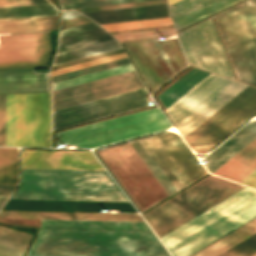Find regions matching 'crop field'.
Wrapping results in <instances>:
<instances>
[{
	"instance_id": "8a807250",
	"label": "crop field",
	"mask_w": 256,
	"mask_h": 256,
	"mask_svg": "<svg viewBox=\"0 0 256 256\" xmlns=\"http://www.w3.org/2000/svg\"><path fill=\"white\" fill-rule=\"evenodd\" d=\"M26 256H169L152 233L40 230Z\"/></svg>"
},
{
	"instance_id": "3316defc",
	"label": "crop field",
	"mask_w": 256,
	"mask_h": 256,
	"mask_svg": "<svg viewBox=\"0 0 256 256\" xmlns=\"http://www.w3.org/2000/svg\"><path fill=\"white\" fill-rule=\"evenodd\" d=\"M152 93L186 66L174 40L124 43Z\"/></svg>"
},
{
	"instance_id": "d1516ede",
	"label": "crop field",
	"mask_w": 256,
	"mask_h": 256,
	"mask_svg": "<svg viewBox=\"0 0 256 256\" xmlns=\"http://www.w3.org/2000/svg\"><path fill=\"white\" fill-rule=\"evenodd\" d=\"M143 89L52 112V130L151 106Z\"/></svg>"
},
{
	"instance_id": "34b2d1b8",
	"label": "crop field",
	"mask_w": 256,
	"mask_h": 256,
	"mask_svg": "<svg viewBox=\"0 0 256 256\" xmlns=\"http://www.w3.org/2000/svg\"><path fill=\"white\" fill-rule=\"evenodd\" d=\"M256 216V191L244 189L160 239L172 256H189Z\"/></svg>"
},
{
	"instance_id": "cbeb9de0",
	"label": "crop field",
	"mask_w": 256,
	"mask_h": 256,
	"mask_svg": "<svg viewBox=\"0 0 256 256\" xmlns=\"http://www.w3.org/2000/svg\"><path fill=\"white\" fill-rule=\"evenodd\" d=\"M143 88L135 71L53 92L52 111Z\"/></svg>"
},
{
	"instance_id": "03da06ac",
	"label": "crop field",
	"mask_w": 256,
	"mask_h": 256,
	"mask_svg": "<svg viewBox=\"0 0 256 256\" xmlns=\"http://www.w3.org/2000/svg\"><path fill=\"white\" fill-rule=\"evenodd\" d=\"M48 3L47 1H41V2H30V3H20V4H9V5H0V7L4 6H18V5H31V4H44Z\"/></svg>"
},
{
	"instance_id": "b80d0937",
	"label": "crop field",
	"mask_w": 256,
	"mask_h": 256,
	"mask_svg": "<svg viewBox=\"0 0 256 256\" xmlns=\"http://www.w3.org/2000/svg\"><path fill=\"white\" fill-rule=\"evenodd\" d=\"M240 183L256 188V171H254Z\"/></svg>"
},
{
	"instance_id": "730fd06b",
	"label": "crop field",
	"mask_w": 256,
	"mask_h": 256,
	"mask_svg": "<svg viewBox=\"0 0 256 256\" xmlns=\"http://www.w3.org/2000/svg\"><path fill=\"white\" fill-rule=\"evenodd\" d=\"M0 183L17 185V148H0Z\"/></svg>"
},
{
	"instance_id": "bd1437ed",
	"label": "crop field",
	"mask_w": 256,
	"mask_h": 256,
	"mask_svg": "<svg viewBox=\"0 0 256 256\" xmlns=\"http://www.w3.org/2000/svg\"><path fill=\"white\" fill-rule=\"evenodd\" d=\"M168 24H172L170 18L105 24L101 26L104 27L107 31H112V30L131 29V28H140V27H149V26L168 25Z\"/></svg>"
},
{
	"instance_id": "0bd39190",
	"label": "crop field",
	"mask_w": 256,
	"mask_h": 256,
	"mask_svg": "<svg viewBox=\"0 0 256 256\" xmlns=\"http://www.w3.org/2000/svg\"><path fill=\"white\" fill-rule=\"evenodd\" d=\"M88 22H92V21L89 20L88 18L84 17V16L74 18V19H70V20H66V21H62L61 26H60V30L65 29V28H69V27H73V26H77V25H80V24L88 23Z\"/></svg>"
},
{
	"instance_id": "5142ce71",
	"label": "crop field",
	"mask_w": 256,
	"mask_h": 256,
	"mask_svg": "<svg viewBox=\"0 0 256 256\" xmlns=\"http://www.w3.org/2000/svg\"><path fill=\"white\" fill-rule=\"evenodd\" d=\"M21 168L104 170L91 152L21 150Z\"/></svg>"
},
{
	"instance_id": "dd49c442",
	"label": "crop field",
	"mask_w": 256,
	"mask_h": 256,
	"mask_svg": "<svg viewBox=\"0 0 256 256\" xmlns=\"http://www.w3.org/2000/svg\"><path fill=\"white\" fill-rule=\"evenodd\" d=\"M214 18L238 79L256 86V6L247 1Z\"/></svg>"
},
{
	"instance_id": "ae1a2a85",
	"label": "crop field",
	"mask_w": 256,
	"mask_h": 256,
	"mask_svg": "<svg viewBox=\"0 0 256 256\" xmlns=\"http://www.w3.org/2000/svg\"><path fill=\"white\" fill-rule=\"evenodd\" d=\"M129 71H133L131 64L113 68V69H109V70H105V71H101V72H97V73H93V74H89V75H85V76H81V77H77V78H73V79H69V80H65V81H61V82H57V83H53L52 88L54 91V90L90 82L93 80L129 72Z\"/></svg>"
},
{
	"instance_id": "dafd665d",
	"label": "crop field",
	"mask_w": 256,
	"mask_h": 256,
	"mask_svg": "<svg viewBox=\"0 0 256 256\" xmlns=\"http://www.w3.org/2000/svg\"><path fill=\"white\" fill-rule=\"evenodd\" d=\"M57 16L0 19V34L53 30Z\"/></svg>"
},
{
	"instance_id": "1d83c4d3",
	"label": "crop field",
	"mask_w": 256,
	"mask_h": 256,
	"mask_svg": "<svg viewBox=\"0 0 256 256\" xmlns=\"http://www.w3.org/2000/svg\"><path fill=\"white\" fill-rule=\"evenodd\" d=\"M256 251V234L219 256H248Z\"/></svg>"
},
{
	"instance_id": "bc2a9ffb",
	"label": "crop field",
	"mask_w": 256,
	"mask_h": 256,
	"mask_svg": "<svg viewBox=\"0 0 256 256\" xmlns=\"http://www.w3.org/2000/svg\"><path fill=\"white\" fill-rule=\"evenodd\" d=\"M0 218L142 222L139 215L19 212V211H2Z\"/></svg>"
},
{
	"instance_id": "00972430",
	"label": "crop field",
	"mask_w": 256,
	"mask_h": 256,
	"mask_svg": "<svg viewBox=\"0 0 256 256\" xmlns=\"http://www.w3.org/2000/svg\"><path fill=\"white\" fill-rule=\"evenodd\" d=\"M208 75L210 73L193 68L158 97L167 109Z\"/></svg>"
},
{
	"instance_id": "4177f3b9",
	"label": "crop field",
	"mask_w": 256,
	"mask_h": 256,
	"mask_svg": "<svg viewBox=\"0 0 256 256\" xmlns=\"http://www.w3.org/2000/svg\"><path fill=\"white\" fill-rule=\"evenodd\" d=\"M121 48L122 47L120 43L117 42L116 40H113V41L57 54L55 56L53 65L89 57V56H93V55H97V54H101V53H105V52H109V51H113Z\"/></svg>"
},
{
	"instance_id": "4a817a6b",
	"label": "crop field",
	"mask_w": 256,
	"mask_h": 256,
	"mask_svg": "<svg viewBox=\"0 0 256 256\" xmlns=\"http://www.w3.org/2000/svg\"><path fill=\"white\" fill-rule=\"evenodd\" d=\"M50 84L49 73L34 70L0 72V87ZM50 91V85L0 88V94Z\"/></svg>"
},
{
	"instance_id": "733c2abd",
	"label": "crop field",
	"mask_w": 256,
	"mask_h": 256,
	"mask_svg": "<svg viewBox=\"0 0 256 256\" xmlns=\"http://www.w3.org/2000/svg\"><path fill=\"white\" fill-rule=\"evenodd\" d=\"M99 24L170 17L167 4L82 13Z\"/></svg>"
},
{
	"instance_id": "28ad6ade",
	"label": "crop field",
	"mask_w": 256,
	"mask_h": 256,
	"mask_svg": "<svg viewBox=\"0 0 256 256\" xmlns=\"http://www.w3.org/2000/svg\"><path fill=\"white\" fill-rule=\"evenodd\" d=\"M177 36L189 65L234 78L211 18Z\"/></svg>"
},
{
	"instance_id": "c21b1889",
	"label": "crop field",
	"mask_w": 256,
	"mask_h": 256,
	"mask_svg": "<svg viewBox=\"0 0 256 256\" xmlns=\"http://www.w3.org/2000/svg\"><path fill=\"white\" fill-rule=\"evenodd\" d=\"M30 1H41V0H1L0 4L30 2Z\"/></svg>"
},
{
	"instance_id": "92a150f3",
	"label": "crop field",
	"mask_w": 256,
	"mask_h": 256,
	"mask_svg": "<svg viewBox=\"0 0 256 256\" xmlns=\"http://www.w3.org/2000/svg\"><path fill=\"white\" fill-rule=\"evenodd\" d=\"M41 228L150 231L144 223L41 220Z\"/></svg>"
},
{
	"instance_id": "eef30255",
	"label": "crop field",
	"mask_w": 256,
	"mask_h": 256,
	"mask_svg": "<svg viewBox=\"0 0 256 256\" xmlns=\"http://www.w3.org/2000/svg\"><path fill=\"white\" fill-rule=\"evenodd\" d=\"M58 10L51 4L0 8V18L57 15Z\"/></svg>"
},
{
	"instance_id": "25e5ab78",
	"label": "crop field",
	"mask_w": 256,
	"mask_h": 256,
	"mask_svg": "<svg viewBox=\"0 0 256 256\" xmlns=\"http://www.w3.org/2000/svg\"><path fill=\"white\" fill-rule=\"evenodd\" d=\"M0 256H5V255L0 254Z\"/></svg>"
},
{
	"instance_id": "d8731c3e",
	"label": "crop field",
	"mask_w": 256,
	"mask_h": 256,
	"mask_svg": "<svg viewBox=\"0 0 256 256\" xmlns=\"http://www.w3.org/2000/svg\"><path fill=\"white\" fill-rule=\"evenodd\" d=\"M245 87L211 74L165 112L184 137Z\"/></svg>"
},
{
	"instance_id": "c035e120",
	"label": "crop field",
	"mask_w": 256,
	"mask_h": 256,
	"mask_svg": "<svg viewBox=\"0 0 256 256\" xmlns=\"http://www.w3.org/2000/svg\"><path fill=\"white\" fill-rule=\"evenodd\" d=\"M15 187L11 185H0V195L10 196Z\"/></svg>"
},
{
	"instance_id": "d3111659",
	"label": "crop field",
	"mask_w": 256,
	"mask_h": 256,
	"mask_svg": "<svg viewBox=\"0 0 256 256\" xmlns=\"http://www.w3.org/2000/svg\"><path fill=\"white\" fill-rule=\"evenodd\" d=\"M129 63L130 62H129L128 58H125V59L89 67V68H85V69H81V70H77V71H73V72H69V73H65V74H61V75H57V76H53V77H51V80L53 83V82H57V81H61V80H65V79H69V78H73V77H77V76H81V75H85V74H89V73H93V72H97V71H101V70H105V69H109V68H113V67H117V66H121V65H125V64H129Z\"/></svg>"
},
{
	"instance_id": "425ffa30",
	"label": "crop field",
	"mask_w": 256,
	"mask_h": 256,
	"mask_svg": "<svg viewBox=\"0 0 256 256\" xmlns=\"http://www.w3.org/2000/svg\"><path fill=\"white\" fill-rule=\"evenodd\" d=\"M252 1L256 3V0H252ZM255 3H254V4H255Z\"/></svg>"
},
{
	"instance_id": "f4fd0767",
	"label": "crop field",
	"mask_w": 256,
	"mask_h": 256,
	"mask_svg": "<svg viewBox=\"0 0 256 256\" xmlns=\"http://www.w3.org/2000/svg\"><path fill=\"white\" fill-rule=\"evenodd\" d=\"M6 146L50 147V93L6 96Z\"/></svg>"
},
{
	"instance_id": "e52e79f7",
	"label": "crop field",
	"mask_w": 256,
	"mask_h": 256,
	"mask_svg": "<svg viewBox=\"0 0 256 256\" xmlns=\"http://www.w3.org/2000/svg\"><path fill=\"white\" fill-rule=\"evenodd\" d=\"M241 187L210 176L143 217L159 237Z\"/></svg>"
},
{
	"instance_id": "e1f06a70",
	"label": "crop field",
	"mask_w": 256,
	"mask_h": 256,
	"mask_svg": "<svg viewBox=\"0 0 256 256\" xmlns=\"http://www.w3.org/2000/svg\"><path fill=\"white\" fill-rule=\"evenodd\" d=\"M0 146H5V96H0Z\"/></svg>"
},
{
	"instance_id": "412701ff",
	"label": "crop field",
	"mask_w": 256,
	"mask_h": 256,
	"mask_svg": "<svg viewBox=\"0 0 256 256\" xmlns=\"http://www.w3.org/2000/svg\"><path fill=\"white\" fill-rule=\"evenodd\" d=\"M170 128L159 109L153 108L57 133V146L93 148Z\"/></svg>"
},
{
	"instance_id": "d9b57169",
	"label": "crop field",
	"mask_w": 256,
	"mask_h": 256,
	"mask_svg": "<svg viewBox=\"0 0 256 256\" xmlns=\"http://www.w3.org/2000/svg\"><path fill=\"white\" fill-rule=\"evenodd\" d=\"M243 0H183L170 7L176 30H180Z\"/></svg>"
},
{
	"instance_id": "d23c7cc5",
	"label": "crop field",
	"mask_w": 256,
	"mask_h": 256,
	"mask_svg": "<svg viewBox=\"0 0 256 256\" xmlns=\"http://www.w3.org/2000/svg\"><path fill=\"white\" fill-rule=\"evenodd\" d=\"M177 1H179V0H169V3L171 5V4H173V3L177 2Z\"/></svg>"
},
{
	"instance_id": "750c4746",
	"label": "crop field",
	"mask_w": 256,
	"mask_h": 256,
	"mask_svg": "<svg viewBox=\"0 0 256 256\" xmlns=\"http://www.w3.org/2000/svg\"><path fill=\"white\" fill-rule=\"evenodd\" d=\"M33 236L27 235L21 232H17L11 229H7L0 226V241L18 246L21 248H27L30 240Z\"/></svg>"
},
{
	"instance_id": "a9b5d70f",
	"label": "crop field",
	"mask_w": 256,
	"mask_h": 256,
	"mask_svg": "<svg viewBox=\"0 0 256 256\" xmlns=\"http://www.w3.org/2000/svg\"><path fill=\"white\" fill-rule=\"evenodd\" d=\"M256 233V218L226 235L193 256H218L234 245Z\"/></svg>"
},
{
	"instance_id": "5866460e",
	"label": "crop field",
	"mask_w": 256,
	"mask_h": 256,
	"mask_svg": "<svg viewBox=\"0 0 256 256\" xmlns=\"http://www.w3.org/2000/svg\"><path fill=\"white\" fill-rule=\"evenodd\" d=\"M123 52H124L123 49H121V50H117V51H113V52H109V53H105V54H101V55H97V56H93V57H89V58H85V59H81V60H77V61H73V62H69V63L57 65V66H53L51 71L56 70V69H60V68H64V67H68V66H72V65H76V64H80V63H84V62H87V61H91V60H95V59H99V58H103V57L123 53Z\"/></svg>"
},
{
	"instance_id": "214f88e0",
	"label": "crop field",
	"mask_w": 256,
	"mask_h": 256,
	"mask_svg": "<svg viewBox=\"0 0 256 256\" xmlns=\"http://www.w3.org/2000/svg\"><path fill=\"white\" fill-rule=\"evenodd\" d=\"M256 169V139L214 174L239 183Z\"/></svg>"
},
{
	"instance_id": "d32e631a",
	"label": "crop field",
	"mask_w": 256,
	"mask_h": 256,
	"mask_svg": "<svg viewBox=\"0 0 256 256\" xmlns=\"http://www.w3.org/2000/svg\"><path fill=\"white\" fill-rule=\"evenodd\" d=\"M106 33H107L106 31H104L102 28H100V29H96V30H92V31H88V32H84V33L64 37V38H60L59 42H58V45L68 43V42H72V41L85 39V38H89V37H94V36H98V35H102V34H106Z\"/></svg>"
},
{
	"instance_id": "5a996713",
	"label": "crop field",
	"mask_w": 256,
	"mask_h": 256,
	"mask_svg": "<svg viewBox=\"0 0 256 256\" xmlns=\"http://www.w3.org/2000/svg\"><path fill=\"white\" fill-rule=\"evenodd\" d=\"M256 113V88L248 86L187 136L197 153H206Z\"/></svg>"
},
{
	"instance_id": "73cf0c24",
	"label": "crop field",
	"mask_w": 256,
	"mask_h": 256,
	"mask_svg": "<svg viewBox=\"0 0 256 256\" xmlns=\"http://www.w3.org/2000/svg\"><path fill=\"white\" fill-rule=\"evenodd\" d=\"M254 256H256V254Z\"/></svg>"
},
{
	"instance_id": "b54c1fbb",
	"label": "crop field",
	"mask_w": 256,
	"mask_h": 256,
	"mask_svg": "<svg viewBox=\"0 0 256 256\" xmlns=\"http://www.w3.org/2000/svg\"><path fill=\"white\" fill-rule=\"evenodd\" d=\"M84 1H94V0H60V3L65 4V3H75V2H84Z\"/></svg>"
},
{
	"instance_id": "028f5c9d",
	"label": "crop field",
	"mask_w": 256,
	"mask_h": 256,
	"mask_svg": "<svg viewBox=\"0 0 256 256\" xmlns=\"http://www.w3.org/2000/svg\"><path fill=\"white\" fill-rule=\"evenodd\" d=\"M163 3H167V1H166V0H162V1H153V2H143V3H134V4H125V5H115V6L97 7V8H87V9H78L77 11H79V12H84V11L114 9V8H123V7H133V6L163 4Z\"/></svg>"
},
{
	"instance_id": "5d738f31",
	"label": "crop field",
	"mask_w": 256,
	"mask_h": 256,
	"mask_svg": "<svg viewBox=\"0 0 256 256\" xmlns=\"http://www.w3.org/2000/svg\"><path fill=\"white\" fill-rule=\"evenodd\" d=\"M8 199V197L0 196V208L5 203V201Z\"/></svg>"
},
{
	"instance_id": "120bbe31",
	"label": "crop field",
	"mask_w": 256,
	"mask_h": 256,
	"mask_svg": "<svg viewBox=\"0 0 256 256\" xmlns=\"http://www.w3.org/2000/svg\"><path fill=\"white\" fill-rule=\"evenodd\" d=\"M125 57H126V55H125V53H123V54H119V55H115V56H111V57L91 61V62H88V63H84V64H80V65H76V66H72V67L52 71L51 76L61 74V73H65V72H69V71H73V70H77V69H81V68H85V67H89V66H93V65H97V64H101V63H105V62H109V61H113V60H117V59H121V58H125Z\"/></svg>"
},
{
	"instance_id": "22f410ed",
	"label": "crop field",
	"mask_w": 256,
	"mask_h": 256,
	"mask_svg": "<svg viewBox=\"0 0 256 256\" xmlns=\"http://www.w3.org/2000/svg\"><path fill=\"white\" fill-rule=\"evenodd\" d=\"M47 33L0 36V70L47 67Z\"/></svg>"
},
{
	"instance_id": "ac0d7876",
	"label": "crop field",
	"mask_w": 256,
	"mask_h": 256,
	"mask_svg": "<svg viewBox=\"0 0 256 256\" xmlns=\"http://www.w3.org/2000/svg\"><path fill=\"white\" fill-rule=\"evenodd\" d=\"M12 199L129 202L106 172L21 169Z\"/></svg>"
}]
</instances>
